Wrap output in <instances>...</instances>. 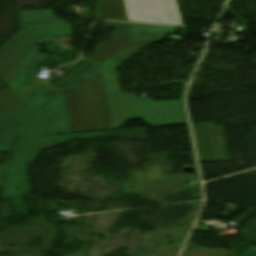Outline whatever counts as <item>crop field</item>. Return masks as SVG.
I'll return each instance as SVG.
<instances>
[{
    "instance_id": "crop-field-3",
    "label": "crop field",
    "mask_w": 256,
    "mask_h": 256,
    "mask_svg": "<svg viewBox=\"0 0 256 256\" xmlns=\"http://www.w3.org/2000/svg\"><path fill=\"white\" fill-rule=\"evenodd\" d=\"M39 82L44 83V84H47V85H49V86H52V85H50L48 82L43 81V80H39Z\"/></svg>"
},
{
    "instance_id": "crop-field-4",
    "label": "crop field",
    "mask_w": 256,
    "mask_h": 256,
    "mask_svg": "<svg viewBox=\"0 0 256 256\" xmlns=\"http://www.w3.org/2000/svg\"><path fill=\"white\" fill-rule=\"evenodd\" d=\"M22 30H24V29H22ZM26 31V30H25ZM28 32V31H27ZM38 37V36H37ZM40 38V37H39Z\"/></svg>"
},
{
    "instance_id": "crop-field-1",
    "label": "crop field",
    "mask_w": 256,
    "mask_h": 256,
    "mask_svg": "<svg viewBox=\"0 0 256 256\" xmlns=\"http://www.w3.org/2000/svg\"><path fill=\"white\" fill-rule=\"evenodd\" d=\"M128 21L183 26L176 0H123Z\"/></svg>"
},
{
    "instance_id": "crop-field-2",
    "label": "crop field",
    "mask_w": 256,
    "mask_h": 256,
    "mask_svg": "<svg viewBox=\"0 0 256 256\" xmlns=\"http://www.w3.org/2000/svg\"><path fill=\"white\" fill-rule=\"evenodd\" d=\"M95 67H97V65L87 61L53 86L62 92L67 87L86 75L88 72L93 70Z\"/></svg>"
}]
</instances>
